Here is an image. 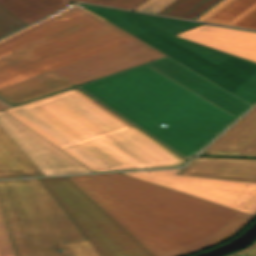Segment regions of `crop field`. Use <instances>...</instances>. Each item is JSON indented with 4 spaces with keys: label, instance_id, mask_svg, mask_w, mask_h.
Returning <instances> with one entry per match:
<instances>
[{
    "label": "crop field",
    "instance_id": "4",
    "mask_svg": "<svg viewBox=\"0 0 256 256\" xmlns=\"http://www.w3.org/2000/svg\"><path fill=\"white\" fill-rule=\"evenodd\" d=\"M78 87L186 158L237 119L145 64Z\"/></svg>",
    "mask_w": 256,
    "mask_h": 256
},
{
    "label": "crop field",
    "instance_id": "14",
    "mask_svg": "<svg viewBox=\"0 0 256 256\" xmlns=\"http://www.w3.org/2000/svg\"><path fill=\"white\" fill-rule=\"evenodd\" d=\"M197 20L256 29V0H223Z\"/></svg>",
    "mask_w": 256,
    "mask_h": 256
},
{
    "label": "crop field",
    "instance_id": "20",
    "mask_svg": "<svg viewBox=\"0 0 256 256\" xmlns=\"http://www.w3.org/2000/svg\"><path fill=\"white\" fill-rule=\"evenodd\" d=\"M72 1L85 2L86 0H72ZM89 1H93L92 3H95V4H103V5L133 10L137 6L145 2L146 0H89Z\"/></svg>",
    "mask_w": 256,
    "mask_h": 256
},
{
    "label": "crop field",
    "instance_id": "22",
    "mask_svg": "<svg viewBox=\"0 0 256 256\" xmlns=\"http://www.w3.org/2000/svg\"><path fill=\"white\" fill-rule=\"evenodd\" d=\"M235 254L240 255V256H256V242L252 246H250L240 252H237Z\"/></svg>",
    "mask_w": 256,
    "mask_h": 256
},
{
    "label": "crop field",
    "instance_id": "21",
    "mask_svg": "<svg viewBox=\"0 0 256 256\" xmlns=\"http://www.w3.org/2000/svg\"><path fill=\"white\" fill-rule=\"evenodd\" d=\"M172 1L173 0H147L135 10L156 13Z\"/></svg>",
    "mask_w": 256,
    "mask_h": 256
},
{
    "label": "crop field",
    "instance_id": "2",
    "mask_svg": "<svg viewBox=\"0 0 256 256\" xmlns=\"http://www.w3.org/2000/svg\"><path fill=\"white\" fill-rule=\"evenodd\" d=\"M153 256L216 244L253 216L120 173L67 176Z\"/></svg>",
    "mask_w": 256,
    "mask_h": 256
},
{
    "label": "crop field",
    "instance_id": "15",
    "mask_svg": "<svg viewBox=\"0 0 256 256\" xmlns=\"http://www.w3.org/2000/svg\"><path fill=\"white\" fill-rule=\"evenodd\" d=\"M11 107L0 100V110ZM44 175L24 152L0 128V178Z\"/></svg>",
    "mask_w": 256,
    "mask_h": 256
},
{
    "label": "crop field",
    "instance_id": "1",
    "mask_svg": "<svg viewBox=\"0 0 256 256\" xmlns=\"http://www.w3.org/2000/svg\"><path fill=\"white\" fill-rule=\"evenodd\" d=\"M163 55L75 4L0 40V97L21 103Z\"/></svg>",
    "mask_w": 256,
    "mask_h": 256
},
{
    "label": "crop field",
    "instance_id": "10",
    "mask_svg": "<svg viewBox=\"0 0 256 256\" xmlns=\"http://www.w3.org/2000/svg\"><path fill=\"white\" fill-rule=\"evenodd\" d=\"M146 64L237 118L252 106L169 56Z\"/></svg>",
    "mask_w": 256,
    "mask_h": 256
},
{
    "label": "crop field",
    "instance_id": "23",
    "mask_svg": "<svg viewBox=\"0 0 256 256\" xmlns=\"http://www.w3.org/2000/svg\"><path fill=\"white\" fill-rule=\"evenodd\" d=\"M227 256H236L235 254L227 255Z\"/></svg>",
    "mask_w": 256,
    "mask_h": 256
},
{
    "label": "crop field",
    "instance_id": "13",
    "mask_svg": "<svg viewBox=\"0 0 256 256\" xmlns=\"http://www.w3.org/2000/svg\"><path fill=\"white\" fill-rule=\"evenodd\" d=\"M178 173L256 182V159L197 157Z\"/></svg>",
    "mask_w": 256,
    "mask_h": 256
},
{
    "label": "crop field",
    "instance_id": "16",
    "mask_svg": "<svg viewBox=\"0 0 256 256\" xmlns=\"http://www.w3.org/2000/svg\"><path fill=\"white\" fill-rule=\"evenodd\" d=\"M68 5L69 0H0L2 8L26 25Z\"/></svg>",
    "mask_w": 256,
    "mask_h": 256
},
{
    "label": "crop field",
    "instance_id": "18",
    "mask_svg": "<svg viewBox=\"0 0 256 256\" xmlns=\"http://www.w3.org/2000/svg\"><path fill=\"white\" fill-rule=\"evenodd\" d=\"M0 256H16L1 207H0Z\"/></svg>",
    "mask_w": 256,
    "mask_h": 256
},
{
    "label": "crop field",
    "instance_id": "7",
    "mask_svg": "<svg viewBox=\"0 0 256 256\" xmlns=\"http://www.w3.org/2000/svg\"><path fill=\"white\" fill-rule=\"evenodd\" d=\"M39 179L101 256H152L66 176Z\"/></svg>",
    "mask_w": 256,
    "mask_h": 256
},
{
    "label": "crop field",
    "instance_id": "17",
    "mask_svg": "<svg viewBox=\"0 0 256 256\" xmlns=\"http://www.w3.org/2000/svg\"><path fill=\"white\" fill-rule=\"evenodd\" d=\"M218 0H175L159 14L193 19Z\"/></svg>",
    "mask_w": 256,
    "mask_h": 256
},
{
    "label": "crop field",
    "instance_id": "6",
    "mask_svg": "<svg viewBox=\"0 0 256 256\" xmlns=\"http://www.w3.org/2000/svg\"><path fill=\"white\" fill-rule=\"evenodd\" d=\"M0 204L17 256H100L38 178L0 181Z\"/></svg>",
    "mask_w": 256,
    "mask_h": 256
},
{
    "label": "crop field",
    "instance_id": "11",
    "mask_svg": "<svg viewBox=\"0 0 256 256\" xmlns=\"http://www.w3.org/2000/svg\"><path fill=\"white\" fill-rule=\"evenodd\" d=\"M177 35L256 62V33L203 25Z\"/></svg>",
    "mask_w": 256,
    "mask_h": 256
},
{
    "label": "crop field",
    "instance_id": "9",
    "mask_svg": "<svg viewBox=\"0 0 256 256\" xmlns=\"http://www.w3.org/2000/svg\"><path fill=\"white\" fill-rule=\"evenodd\" d=\"M0 127L45 175L91 172L3 110Z\"/></svg>",
    "mask_w": 256,
    "mask_h": 256
},
{
    "label": "crop field",
    "instance_id": "19",
    "mask_svg": "<svg viewBox=\"0 0 256 256\" xmlns=\"http://www.w3.org/2000/svg\"><path fill=\"white\" fill-rule=\"evenodd\" d=\"M23 26L22 22L0 7V38Z\"/></svg>",
    "mask_w": 256,
    "mask_h": 256
},
{
    "label": "crop field",
    "instance_id": "8",
    "mask_svg": "<svg viewBox=\"0 0 256 256\" xmlns=\"http://www.w3.org/2000/svg\"><path fill=\"white\" fill-rule=\"evenodd\" d=\"M181 169L123 174L256 215V183L176 174Z\"/></svg>",
    "mask_w": 256,
    "mask_h": 256
},
{
    "label": "crop field",
    "instance_id": "3",
    "mask_svg": "<svg viewBox=\"0 0 256 256\" xmlns=\"http://www.w3.org/2000/svg\"><path fill=\"white\" fill-rule=\"evenodd\" d=\"M4 110L93 172L187 161L75 88Z\"/></svg>",
    "mask_w": 256,
    "mask_h": 256
},
{
    "label": "crop field",
    "instance_id": "12",
    "mask_svg": "<svg viewBox=\"0 0 256 256\" xmlns=\"http://www.w3.org/2000/svg\"><path fill=\"white\" fill-rule=\"evenodd\" d=\"M201 154L256 157V107Z\"/></svg>",
    "mask_w": 256,
    "mask_h": 256
},
{
    "label": "crop field",
    "instance_id": "5",
    "mask_svg": "<svg viewBox=\"0 0 256 256\" xmlns=\"http://www.w3.org/2000/svg\"><path fill=\"white\" fill-rule=\"evenodd\" d=\"M77 4L167 53L248 103L253 105L256 102V63L174 36L203 24ZM156 39L161 42L153 43Z\"/></svg>",
    "mask_w": 256,
    "mask_h": 256
}]
</instances>
